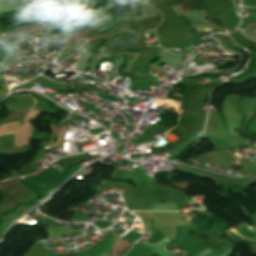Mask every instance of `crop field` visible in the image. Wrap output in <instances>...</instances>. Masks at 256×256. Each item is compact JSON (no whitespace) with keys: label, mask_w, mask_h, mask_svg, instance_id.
<instances>
[{"label":"crop field","mask_w":256,"mask_h":256,"mask_svg":"<svg viewBox=\"0 0 256 256\" xmlns=\"http://www.w3.org/2000/svg\"><path fill=\"white\" fill-rule=\"evenodd\" d=\"M108 2H109V6L107 8L106 13L110 18V23L99 30V32L101 33L118 25V23L125 17L118 14V9L121 5V2L119 0H108Z\"/></svg>","instance_id":"obj_1"},{"label":"crop field","mask_w":256,"mask_h":256,"mask_svg":"<svg viewBox=\"0 0 256 256\" xmlns=\"http://www.w3.org/2000/svg\"><path fill=\"white\" fill-rule=\"evenodd\" d=\"M230 246H231V243H228L226 241L220 242V243L210 247L213 250V252L207 256H217V255L221 254L222 252H224L226 249L230 248Z\"/></svg>","instance_id":"obj_2"},{"label":"crop field","mask_w":256,"mask_h":256,"mask_svg":"<svg viewBox=\"0 0 256 256\" xmlns=\"http://www.w3.org/2000/svg\"><path fill=\"white\" fill-rule=\"evenodd\" d=\"M136 27H137V26H135V25L133 26V28H132V30H131L129 36H127V37H125L124 39H121V40H119V41L110 43V44H108V45L113 46V47H117V46H121V45L126 44L128 41H130L131 39L135 38V36H136Z\"/></svg>","instance_id":"obj_3"},{"label":"crop field","mask_w":256,"mask_h":256,"mask_svg":"<svg viewBox=\"0 0 256 256\" xmlns=\"http://www.w3.org/2000/svg\"><path fill=\"white\" fill-rule=\"evenodd\" d=\"M201 0H188L184 4L177 6L182 13H189Z\"/></svg>","instance_id":"obj_4"},{"label":"crop field","mask_w":256,"mask_h":256,"mask_svg":"<svg viewBox=\"0 0 256 256\" xmlns=\"http://www.w3.org/2000/svg\"><path fill=\"white\" fill-rule=\"evenodd\" d=\"M122 6H121V10H120V13L125 15V16H128V9H130V1H122Z\"/></svg>","instance_id":"obj_5"},{"label":"crop field","mask_w":256,"mask_h":256,"mask_svg":"<svg viewBox=\"0 0 256 256\" xmlns=\"http://www.w3.org/2000/svg\"><path fill=\"white\" fill-rule=\"evenodd\" d=\"M136 2H137V11L135 12V15H134L135 19L144 16L142 8H141V2H139L138 0H136Z\"/></svg>","instance_id":"obj_6"},{"label":"crop field","mask_w":256,"mask_h":256,"mask_svg":"<svg viewBox=\"0 0 256 256\" xmlns=\"http://www.w3.org/2000/svg\"><path fill=\"white\" fill-rule=\"evenodd\" d=\"M182 1H184V0H172V1H170L169 3H170V4H179V3H181Z\"/></svg>","instance_id":"obj_7"},{"label":"crop field","mask_w":256,"mask_h":256,"mask_svg":"<svg viewBox=\"0 0 256 256\" xmlns=\"http://www.w3.org/2000/svg\"><path fill=\"white\" fill-rule=\"evenodd\" d=\"M254 116H256V109H255V113H254Z\"/></svg>","instance_id":"obj_8"}]
</instances>
